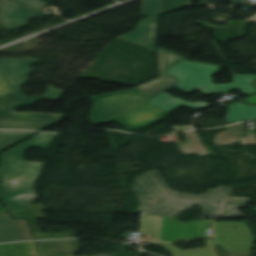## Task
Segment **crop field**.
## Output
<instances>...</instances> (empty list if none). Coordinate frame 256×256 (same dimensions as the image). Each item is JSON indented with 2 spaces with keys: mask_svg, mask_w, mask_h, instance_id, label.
Wrapping results in <instances>:
<instances>
[{
  "mask_svg": "<svg viewBox=\"0 0 256 256\" xmlns=\"http://www.w3.org/2000/svg\"><path fill=\"white\" fill-rule=\"evenodd\" d=\"M36 63L39 61L31 58L0 60L1 73L21 100L28 96L22 92L20 86L28 83V75L35 72L30 66Z\"/></svg>",
  "mask_w": 256,
  "mask_h": 256,
  "instance_id": "crop-field-9",
  "label": "crop field"
},
{
  "mask_svg": "<svg viewBox=\"0 0 256 256\" xmlns=\"http://www.w3.org/2000/svg\"><path fill=\"white\" fill-rule=\"evenodd\" d=\"M189 143L179 144V148L182 150L184 155L196 154L198 156L208 155L202 142L198 138L195 131L187 132L184 134ZM180 150V151H181Z\"/></svg>",
  "mask_w": 256,
  "mask_h": 256,
  "instance_id": "crop-field-22",
  "label": "crop field"
},
{
  "mask_svg": "<svg viewBox=\"0 0 256 256\" xmlns=\"http://www.w3.org/2000/svg\"><path fill=\"white\" fill-rule=\"evenodd\" d=\"M161 0H144L143 16L160 14Z\"/></svg>",
  "mask_w": 256,
  "mask_h": 256,
  "instance_id": "crop-field-27",
  "label": "crop field"
},
{
  "mask_svg": "<svg viewBox=\"0 0 256 256\" xmlns=\"http://www.w3.org/2000/svg\"><path fill=\"white\" fill-rule=\"evenodd\" d=\"M243 124L244 123L227 127L225 131L216 135L214 144H233L237 142Z\"/></svg>",
  "mask_w": 256,
  "mask_h": 256,
  "instance_id": "crop-field-24",
  "label": "crop field"
},
{
  "mask_svg": "<svg viewBox=\"0 0 256 256\" xmlns=\"http://www.w3.org/2000/svg\"><path fill=\"white\" fill-rule=\"evenodd\" d=\"M251 119H256V106L245 105L244 103L230 105L226 117L227 123Z\"/></svg>",
  "mask_w": 256,
  "mask_h": 256,
  "instance_id": "crop-field-19",
  "label": "crop field"
},
{
  "mask_svg": "<svg viewBox=\"0 0 256 256\" xmlns=\"http://www.w3.org/2000/svg\"><path fill=\"white\" fill-rule=\"evenodd\" d=\"M244 144H256V133H245Z\"/></svg>",
  "mask_w": 256,
  "mask_h": 256,
  "instance_id": "crop-field-32",
  "label": "crop field"
},
{
  "mask_svg": "<svg viewBox=\"0 0 256 256\" xmlns=\"http://www.w3.org/2000/svg\"><path fill=\"white\" fill-rule=\"evenodd\" d=\"M32 240L26 220H13L8 213H0V243Z\"/></svg>",
  "mask_w": 256,
  "mask_h": 256,
  "instance_id": "crop-field-13",
  "label": "crop field"
},
{
  "mask_svg": "<svg viewBox=\"0 0 256 256\" xmlns=\"http://www.w3.org/2000/svg\"><path fill=\"white\" fill-rule=\"evenodd\" d=\"M152 104H154L155 106L161 108L162 110L170 113L174 110H176L177 108L185 105L193 110H200V109H204L210 105L205 104L203 102H198V103H189L185 100H182L180 98H174L166 93H163L155 98H153L152 100L148 101Z\"/></svg>",
  "mask_w": 256,
  "mask_h": 256,
  "instance_id": "crop-field-17",
  "label": "crop field"
},
{
  "mask_svg": "<svg viewBox=\"0 0 256 256\" xmlns=\"http://www.w3.org/2000/svg\"><path fill=\"white\" fill-rule=\"evenodd\" d=\"M251 20L256 21V15H255V16H253V17H251V18H249V19H247V20H245V21L249 22V21H251Z\"/></svg>",
  "mask_w": 256,
  "mask_h": 256,
  "instance_id": "crop-field-36",
  "label": "crop field"
},
{
  "mask_svg": "<svg viewBox=\"0 0 256 256\" xmlns=\"http://www.w3.org/2000/svg\"><path fill=\"white\" fill-rule=\"evenodd\" d=\"M249 198H240L229 196L225 203H235V202H247Z\"/></svg>",
  "mask_w": 256,
  "mask_h": 256,
  "instance_id": "crop-field-33",
  "label": "crop field"
},
{
  "mask_svg": "<svg viewBox=\"0 0 256 256\" xmlns=\"http://www.w3.org/2000/svg\"><path fill=\"white\" fill-rule=\"evenodd\" d=\"M33 134L35 133L0 130V152Z\"/></svg>",
  "mask_w": 256,
  "mask_h": 256,
  "instance_id": "crop-field-23",
  "label": "crop field"
},
{
  "mask_svg": "<svg viewBox=\"0 0 256 256\" xmlns=\"http://www.w3.org/2000/svg\"><path fill=\"white\" fill-rule=\"evenodd\" d=\"M13 1H15V0H13Z\"/></svg>",
  "mask_w": 256,
  "mask_h": 256,
  "instance_id": "crop-field-40",
  "label": "crop field"
},
{
  "mask_svg": "<svg viewBox=\"0 0 256 256\" xmlns=\"http://www.w3.org/2000/svg\"><path fill=\"white\" fill-rule=\"evenodd\" d=\"M0 8L6 31L18 30L25 27L29 20L35 18L42 19L49 15L9 0H0Z\"/></svg>",
  "mask_w": 256,
  "mask_h": 256,
  "instance_id": "crop-field-10",
  "label": "crop field"
},
{
  "mask_svg": "<svg viewBox=\"0 0 256 256\" xmlns=\"http://www.w3.org/2000/svg\"><path fill=\"white\" fill-rule=\"evenodd\" d=\"M65 93H66V91H62V90H58V89L49 87L48 92L43 97L57 101ZM43 97L23 100V101H21V103L19 104L18 107L34 105L35 102L43 101Z\"/></svg>",
  "mask_w": 256,
  "mask_h": 256,
  "instance_id": "crop-field-25",
  "label": "crop field"
},
{
  "mask_svg": "<svg viewBox=\"0 0 256 256\" xmlns=\"http://www.w3.org/2000/svg\"><path fill=\"white\" fill-rule=\"evenodd\" d=\"M0 212H6L5 209L0 204Z\"/></svg>",
  "mask_w": 256,
  "mask_h": 256,
  "instance_id": "crop-field-37",
  "label": "crop field"
},
{
  "mask_svg": "<svg viewBox=\"0 0 256 256\" xmlns=\"http://www.w3.org/2000/svg\"><path fill=\"white\" fill-rule=\"evenodd\" d=\"M36 243L40 256H75L80 249L78 240Z\"/></svg>",
  "mask_w": 256,
  "mask_h": 256,
  "instance_id": "crop-field-15",
  "label": "crop field"
},
{
  "mask_svg": "<svg viewBox=\"0 0 256 256\" xmlns=\"http://www.w3.org/2000/svg\"><path fill=\"white\" fill-rule=\"evenodd\" d=\"M230 187L219 186L216 189H209L205 194L199 195L197 205L201 207H215L216 203H221L228 194Z\"/></svg>",
  "mask_w": 256,
  "mask_h": 256,
  "instance_id": "crop-field-21",
  "label": "crop field"
},
{
  "mask_svg": "<svg viewBox=\"0 0 256 256\" xmlns=\"http://www.w3.org/2000/svg\"><path fill=\"white\" fill-rule=\"evenodd\" d=\"M159 78L136 87L154 96L177 85L176 78L163 73L178 60L182 59L179 55L162 49L157 50Z\"/></svg>",
  "mask_w": 256,
  "mask_h": 256,
  "instance_id": "crop-field-11",
  "label": "crop field"
},
{
  "mask_svg": "<svg viewBox=\"0 0 256 256\" xmlns=\"http://www.w3.org/2000/svg\"><path fill=\"white\" fill-rule=\"evenodd\" d=\"M0 256H38L33 242L0 245Z\"/></svg>",
  "mask_w": 256,
  "mask_h": 256,
  "instance_id": "crop-field-20",
  "label": "crop field"
},
{
  "mask_svg": "<svg viewBox=\"0 0 256 256\" xmlns=\"http://www.w3.org/2000/svg\"><path fill=\"white\" fill-rule=\"evenodd\" d=\"M252 210L256 212V208H254V209H252Z\"/></svg>",
  "mask_w": 256,
  "mask_h": 256,
  "instance_id": "crop-field-38",
  "label": "crop field"
},
{
  "mask_svg": "<svg viewBox=\"0 0 256 256\" xmlns=\"http://www.w3.org/2000/svg\"><path fill=\"white\" fill-rule=\"evenodd\" d=\"M168 113L155 107L154 105L145 102L133 109H130L112 119H107L99 124L116 122L126 128L148 127L164 118Z\"/></svg>",
  "mask_w": 256,
  "mask_h": 256,
  "instance_id": "crop-field-7",
  "label": "crop field"
},
{
  "mask_svg": "<svg viewBox=\"0 0 256 256\" xmlns=\"http://www.w3.org/2000/svg\"><path fill=\"white\" fill-rule=\"evenodd\" d=\"M18 100L4 78L0 74V101Z\"/></svg>",
  "mask_w": 256,
  "mask_h": 256,
  "instance_id": "crop-field-28",
  "label": "crop field"
},
{
  "mask_svg": "<svg viewBox=\"0 0 256 256\" xmlns=\"http://www.w3.org/2000/svg\"><path fill=\"white\" fill-rule=\"evenodd\" d=\"M245 203H235V204H224V212L222 218H239L244 217L238 210L243 207Z\"/></svg>",
  "mask_w": 256,
  "mask_h": 256,
  "instance_id": "crop-field-29",
  "label": "crop field"
},
{
  "mask_svg": "<svg viewBox=\"0 0 256 256\" xmlns=\"http://www.w3.org/2000/svg\"><path fill=\"white\" fill-rule=\"evenodd\" d=\"M139 211L153 215L176 216L184 208L196 206L197 200L139 197Z\"/></svg>",
  "mask_w": 256,
  "mask_h": 256,
  "instance_id": "crop-field-12",
  "label": "crop field"
},
{
  "mask_svg": "<svg viewBox=\"0 0 256 256\" xmlns=\"http://www.w3.org/2000/svg\"><path fill=\"white\" fill-rule=\"evenodd\" d=\"M190 5V0H162L161 14Z\"/></svg>",
  "mask_w": 256,
  "mask_h": 256,
  "instance_id": "crop-field-26",
  "label": "crop field"
},
{
  "mask_svg": "<svg viewBox=\"0 0 256 256\" xmlns=\"http://www.w3.org/2000/svg\"><path fill=\"white\" fill-rule=\"evenodd\" d=\"M32 1H34L35 3H32ZM37 1L39 0H18L17 3L30 6L33 8H36V6H38L39 8L36 9L43 10L47 3L44 4V2L42 1H39V3H37Z\"/></svg>",
  "mask_w": 256,
  "mask_h": 256,
  "instance_id": "crop-field-31",
  "label": "crop field"
},
{
  "mask_svg": "<svg viewBox=\"0 0 256 256\" xmlns=\"http://www.w3.org/2000/svg\"><path fill=\"white\" fill-rule=\"evenodd\" d=\"M229 227H236L229 229ZM215 238L205 240L207 247L182 251L173 245L157 244L173 256H219L214 244H222L231 254H250L253 237L243 221L218 222L214 226Z\"/></svg>",
  "mask_w": 256,
  "mask_h": 256,
  "instance_id": "crop-field-2",
  "label": "crop field"
},
{
  "mask_svg": "<svg viewBox=\"0 0 256 256\" xmlns=\"http://www.w3.org/2000/svg\"><path fill=\"white\" fill-rule=\"evenodd\" d=\"M221 204H217L216 208H203L201 217L218 218L220 216Z\"/></svg>",
  "mask_w": 256,
  "mask_h": 256,
  "instance_id": "crop-field-30",
  "label": "crop field"
},
{
  "mask_svg": "<svg viewBox=\"0 0 256 256\" xmlns=\"http://www.w3.org/2000/svg\"><path fill=\"white\" fill-rule=\"evenodd\" d=\"M132 189L139 196L197 199L198 196L170 190L157 171H149L136 179Z\"/></svg>",
  "mask_w": 256,
  "mask_h": 256,
  "instance_id": "crop-field-8",
  "label": "crop field"
},
{
  "mask_svg": "<svg viewBox=\"0 0 256 256\" xmlns=\"http://www.w3.org/2000/svg\"><path fill=\"white\" fill-rule=\"evenodd\" d=\"M35 209H46L44 206H42L41 204L39 205H34V206H31V207H28V208H24V209H21L19 211H25V210H35ZM9 212H15L17 210H11V209H8Z\"/></svg>",
  "mask_w": 256,
  "mask_h": 256,
  "instance_id": "crop-field-34",
  "label": "crop field"
},
{
  "mask_svg": "<svg viewBox=\"0 0 256 256\" xmlns=\"http://www.w3.org/2000/svg\"><path fill=\"white\" fill-rule=\"evenodd\" d=\"M14 218H27L30 221L36 240L75 238V232L41 234L36 219L46 218L42 210L11 213Z\"/></svg>",
  "mask_w": 256,
  "mask_h": 256,
  "instance_id": "crop-field-16",
  "label": "crop field"
},
{
  "mask_svg": "<svg viewBox=\"0 0 256 256\" xmlns=\"http://www.w3.org/2000/svg\"><path fill=\"white\" fill-rule=\"evenodd\" d=\"M154 96L132 88L125 92L93 96L94 108L91 112V122L96 124L107 118L114 117L133 108Z\"/></svg>",
  "mask_w": 256,
  "mask_h": 256,
  "instance_id": "crop-field-5",
  "label": "crop field"
},
{
  "mask_svg": "<svg viewBox=\"0 0 256 256\" xmlns=\"http://www.w3.org/2000/svg\"><path fill=\"white\" fill-rule=\"evenodd\" d=\"M222 1H231V0H222Z\"/></svg>",
  "mask_w": 256,
  "mask_h": 256,
  "instance_id": "crop-field-39",
  "label": "crop field"
},
{
  "mask_svg": "<svg viewBox=\"0 0 256 256\" xmlns=\"http://www.w3.org/2000/svg\"><path fill=\"white\" fill-rule=\"evenodd\" d=\"M255 79L256 75H233V83L216 85L217 93L239 89L242 95H250L256 92V88L252 86Z\"/></svg>",
  "mask_w": 256,
  "mask_h": 256,
  "instance_id": "crop-field-18",
  "label": "crop field"
},
{
  "mask_svg": "<svg viewBox=\"0 0 256 256\" xmlns=\"http://www.w3.org/2000/svg\"><path fill=\"white\" fill-rule=\"evenodd\" d=\"M256 95V94H255ZM247 102L249 103H256V96L250 97L247 99Z\"/></svg>",
  "mask_w": 256,
  "mask_h": 256,
  "instance_id": "crop-field-35",
  "label": "crop field"
},
{
  "mask_svg": "<svg viewBox=\"0 0 256 256\" xmlns=\"http://www.w3.org/2000/svg\"><path fill=\"white\" fill-rule=\"evenodd\" d=\"M212 221L183 223L176 218L145 216L143 233L146 240L164 242L204 238L209 236Z\"/></svg>",
  "mask_w": 256,
  "mask_h": 256,
  "instance_id": "crop-field-3",
  "label": "crop field"
},
{
  "mask_svg": "<svg viewBox=\"0 0 256 256\" xmlns=\"http://www.w3.org/2000/svg\"><path fill=\"white\" fill-rule=\"evenodd\" d=\"M157 20L158 16L147 18V20L140 22L132 33L120 37L139 44L147 45L154 49Z\"/></svg>",
  "mask_w": 256,
  "mask_h": 256,
  "instance_id": "crop-field-14",
  "label": "crop field"
},
{
  "mask_svg": "<svg viewBox=\"0 0 256 256\" xmlns=\"http://www.w3.org/2000/svg\"><path fill=\"white\" fill-rule=\"evenodd\" d=\"M56 134L41 133L1 154V202L5 208L34 205V189L45 163L26 162L30 147L45 149Z\"/></svg>",
  "mask_w": 256,
  "mask_h": 256,
  "instance_id": "crop-field-1",
  "label": "crop field"
},
{
  "mask_svg": "<svg viewBox=\"0 0 256 256\" xmlns=\"http://www.w3.org/2000/svg\"><path fill=\"white\" fill-rule=\"evenodd\" d=\"M219 72V66H210L201 63L182 60L177 66L167 73L179 77L180 86L174 88L189 94L195 90L204 92L202 94H215V84L212 76Z\"/></svg>",
  "mask_w": 256,
  "mask_h": 256,
  "instance_id": "crop-field-4",
  "label": "crop field"
},
{
  "mask_svg": "<svg viewBox=\"0 0 256 256\" xmlns=\"http://www.w3.org/2000/svg\"><path fill=\"white\" fill-rule=\"evenodd\" d=\"M19 103L0 102V128L41 130L63 118V114L15 112Z\"/></svg>",
  "mask_w": 256,
  "mask_h": 256,
  "instance_id": "crop-field-6",
  "label": "crop field"
}]
</instances>
